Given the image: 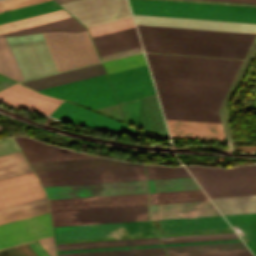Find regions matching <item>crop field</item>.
Returning <instances> with one entry per match:
<instances>
[{
    "mask_svg": "<svg viewBox=\"0 0 256 256\" xmlns=\"http://www.w3.org/2000/svg\"><path fill=\"white\" fill-rule=\"evenodd\" d=\"M137 24L256 33V24L133 15ZM137 25L141 39L249 47L255 34Z\"/></svg>",
    "mask_w": 256,
    "mask_h": 256,
    "instance_id": "obj_1",
    "label": "crop field"
},
{
    "mask_svg": "<svg viewBox=\"0 0 256 256\" xmlns=\"http://www.w3.org/2000/svg\"><path fill=\"white\" fill-rule=\"evenodd\" d=\"M163 110L218 115L231 82L152 76Z\"/></svg>",
    "mask_w": 256,
    "mask_h": 256,
    "instance_id": "obj_2",
    "label": "crop field"
},
{
    "mask_svg": "<svg viewBox=\"0 0 256 256\" xmlns=\"http://www.w3.org/2000/svg\"><path fill=\"white\" fill-rule=\"evenodd\" d=\"M151 74L232 81L241 60L146 53Z\"/></svg>",
    "mask_w": 256,
    "mask_h": 256,
    "instance_id": "obj_3",
    "label": "crop field"
},
{
    "mask_svg": "<svg viewBox=\"0 0 256 256\" xmlns=\"http://www.w3.org/2000/svg\"><path fill=\"white\" fill-rule=\"evenodd\" d=\"M133 14L256 23V8L160 0H129Z\"/></svg>",
    "mask_w": 256,
    "mask_h": 256,
    "instance_id": "obj_4",
    "label": "crop field"
},
{
    "mask_svg": "<svg viewBox=\"0 0 256 256\" xmlns=\"http://www.w3.org/2000/svg\"><path fill=\"white\" fill-rule=\"evenodd\" d=\"M186 168L209 197L256 194V165Z\"/></svg>",
    "mask_w": 256,
    "mask_h": 256,
    "instance_id": "obj_5",
    "label": "crop field"
},
{
    "mask_svg": "<svg viewBox=\"0 0 256 256\" xmlns=\"http://www.w3.org/2000/svg\"><path fill=\"white\" fill-rule=\"evenodd\" d=\"M39 91L93 109L118 103L105 74ZM96 110L125 121L118 104Z\"/></svg>",
    "mask_w": 256,
    "mask_h": 256,
    "instance_id": "obj_6",
    "label": "crop field"
},
{
    "mask_svg": "<svg viewBox=\"0 0 256 256\" xmlns=\"http://www.w3.org/2000/svg\"><path fill=\"white\" fill-rule=\"evenodd\" d=\"M87 32L42 33L59 72L100 62Z\"/></svg>",
    "mask_w": 256,
    "mask_h": 256,
    "instance_id": "obj_7",
    "label": "crop field"
},
{
    "mask_svg": "<svg viewBox=\"0 0 256 256\" xmlns=\"http://www.w3.org/2000/svg\"><path fill=\"white\" fill-rule=\"evenodd\" d=\"M6 38L25 80L58 72L41 33Z\"/></svg>",
    "mask_w": 256,
    "mask_h": 256,
    "instance_id": "obj_8",
    "label": "crop field"
},
{
    "mask_svg": "<svg viewBox=\"0 0 256 256\" xmlns=\"http://www.w3.org/2000/svg\"><path fill=\"white\" fill-rule=\"evenodd\" d=\"M147 205L50 211L53 226L148 220Z\"/></svg>",
    "mask_w": 256,
    "mask_h": 256,
    "instance_id": "obj_9",
    "label": "crop field"
},
{
    "mask_svg": "<svg viewBox=\"0 0 256 256\" xmlns=\"http://www.w3.org/2000/svg\"><path fill=\"white\" fill-rule=\"evenodd\" d=\"M61 6L86 27L132 16L127 0H78Z\"/></svg>",
    "mask_w": 256,
    "mask_h": 256,
    "instance_id": "obj_10",
    "label": "crop field"
},
{
    "mask_svg": "<svg viewBox=\"0 0 256 256\" xmlns=\"http://www.w3.org/2000/svg\"><path fill=\"white\" fill-rule=\"evenodd\" d=\"M48 199L148 193L147 180L44 187Z\"/></svg>",
    "mask_w": 256,
    "mask_h": 256,
    "instance_id": "obj_11",
    "label": "crop field"
},
{
    "mask_svg": "<svg viewBox=\"0 0 256 256\" xmlns=\"http://www.w3.org/2000/svg\"><path fill=\"white\" fill-rule=\"evenodd\" d=\"M129 236L156 234L149 221L125 222ZM123 223L53 227L56 240L118 236L115 227Z\"/></svg>",
    "mask_w": 256,
    "mask_h": 256,
    "instance_id": "obj_12",
    "label": "crop field"
},
{
    "mask_svg": "<svg viewBox=\"0 0 256 256\" xmlns=\"http://www.w3.org/2000/svg\"><path fill=\"white\" fill-rule=\"evenodd\" d=\"M120 104L129 123L154 133L168 135L155 94Z\"/></svg>",
    "mask_w": 256,
    "mask_h": 256,
    "instance_id": "obj_13",
    "label": "crop field"
},
{
    "mask_svg": "<svg viewBox=\"0 0 256 256\" xmlns=\"http://www.w3.org/2000/svg\"><path fill=\"white\" fill-rule=\"evenodd\" d=\"M52 234L49 213L12 222L0 226V248Z\"/></svg>",
    "mask_w": 256,
    "mask_h": 256,
    "instance_id": "obj_14",
    "label": "crop field"
},
{
    "mask_svg": "<svg viewBox=\"0 0 256 256\" xmlns=\"http://www.w3.org/2000/svg\"><path fill=\"white\" fill-rule=\"evenodd\" d=\"M108 76L120 102L155 93L146 65Z\"/></svg>",
    "mask_w": 256,
    "mask_h": 256,
    "instance_id": "obj_15",
    "label": "crop field"
},
{
    "mask_svg": "<svg viewBox=\"0 0 256 256\" xmlns=\"http://www.w3.org/2000/svg\"><path fill=\"white\" fill-rule=\"evenodd\" d=\"M50 116L60 120L90 126L98 129L134 134L133 128L88 109L63 102Z\"/></svg>",
    "mask_w": 256,
    "mask_h": 256,
    "instance_id": "obj_16",
    "label": "crop field"
},
{
    "mask_svg": "<svg viewBox=\"0 0 256 256\" xmlns=\"http://www.w3.org/2000/svg\"><path fill=\"white\" fill-rule=\"evenodd\" d=\"M45 196L34 172L0 181V208Z\"/></svg>",
    "mask_w": 256,
    "mask_h": 256,
    "instance_id": "obj_17",
    "label": "crop field"
},
{
    "mask_svg": "<svg viewBox=\"0 0 256 256\" xmlns=\"http://www.w3.org/2000/svg\"><path fill=\"white\" fill-rule=\"evenodd\" d=\"M40 182L146 175L143 165L36 172Z\"/></svg>",
    "mask_w": 256,
    "mask_h": 256,
    "instance_id": "obj_18",
    "label": "crop field"
},
{
    "mask_svg": "<svg viewBox=\"0 0 256 256\" xmlns=\"http://www.w3.org/2000/svg\"><path fill=\"white\" fill-rule=\"evenodd\" d=\"M146 51L244 58L248 48L141 40ZM145 51V52H146Z\"/></svg>",
    "mask_w": 256,
    "mask_h": 256,
    "instance_id": "obj_19",
    "label": "crop field"
},
{
    "mask_svg": "<svg viewBox=\"0 0 256 256\" xmlns=\"http://www.w3.org/2000/svg\"><path fill=\"white\" fill-rule=\"evenodd\" d=\"M0 102L47 115L62 103L16 84L0 92Z\"/></svg>",
    "mask_w": 256,
    "mask_h": 256,
    "instance_id": "obj_20",
    "label": "crop field"
},
{
    "mask_svg": "<svg viewBox=\"0 0 256 256\" xmlns=\"http://www.w3.org/2000/svg\"><path fill=\"white\" fill-rule=\"evenodd\" d=\"M150 220L220 215L211 201L149 205Z\"/></svg>",
    "mask_w": 256,
    "mask_h": 256,
    "instance_id": "obj_21",
    "label": "crop field"
},
{
    "mask_svg": "<svg viewBox=\"0 0 256 256\" xmlns=\"http://www.w3.org/2000/svg\"><path fill=\"white\" fill-rule=\"evenodd\" d=\"M28 162L96 158L97 156L82 154L50 144L38 142L27 137H14Z\"/></svg>",
    "mask_w": 256,
    "mask_h": 256,
    "instance_id": "obj_22",
    "label": "crop field"
},
{
    "mask_svg": "<svg viewBox=\"0 0 256 256\" xmlns=\"http://www.w3.org/2000/svg\"><path fill=\"white\" fill-rule=\"evenodd\" d=\"M148 194L48 200L50 210L147 204Z\"/></svg>",
    "mask_w": 256,
    "mask_h": 256,
    "instance_id": "obj_23",
    "label": "crop field"
},
{
    "mask_svg": "<svg viewBox=\"0 0 256 256\" xmlns=\"http://www.w3.org/2000/svg\"><path fill=\"white\" fill-rule=\"evenodd\" d=\"M171 137L223 140L220 124L166 119Z\"/></svg>",
    "mask_w": 256,
    "mask_h": 256,
    "instance_id": "obj_24",
    "label": "crop field"
},
{
    "mask_svg": "<svg viewBox=\"0 0 256 256\" xmlns=\"http://www.w3.org/2000/svg\"><path fill=\"white\" fill-rule=\"evenodd\" d=\"M159 221L166 233L231 229L223 216Z\"/></svg>",
    "mask_w": 256,
    "mask_h": 256,
    "instance_id": "obj_25",
    "label": "crop field"
},
{
    "mask_svg": "<svg viewBox=\"0 0 256 256\" xmlns=\"http://www.w3.org/2000/svg\"><path fill=\"white\" fill-rule=\"evenodd\" d=\"M92 39L100 55L141 45L135 27Z\"/></svg>",
    "mask_w": 256,
    "mask_h": 256,
    "instance_id": "obj_26",
    "label": "crop field"
},
{
    "mask_svg": "<svg viewBox=\"0 0 256 256\" xmlns=\"http://www.w3.org/2000/svg\"><path fill=\"white\" fill-rule=\"evenodd\" d=\"M105 73L103 70V67L101 64L65 72V73H60L28 82H24L22 84L29 86L35 90L99 75Z\"/></svg>",
    "mask_w": 256,
    "mask_h": 256,
    "instance_id": "obj_27",
    "label": "crop field"
},
{
    "mask_svg": "<svg viewBox=\"0 0 256 256\" xmlns=\"http://www.w3.org/2000/svg\"><path fill=\"white\" fill-rule=\"evenodd\" d=\"M0 256H56L53 235L1 248Z\"/></svg>",
    "mask_w": 256,
    "mask_h": 256,
    "instance_id": "obj_28",
    "label": "crop field"
},
{
    "mask_svg": "<svg viewBox=\"0 0 256 256\" xmlns=\"http://www.w3.org/2000/svg\"><path fill=\"white\" fill-rule=\"evenodd\" d=\"M30 165L32 166L34 171H42V170L105 167V166H120V165H136V163L109 160L105 158H97V159H82V160H67V161L36 162V163H30Z\"/></svg>",
    "mask_w": 256,
    "mask_h": 256,
    "instance_id": "obj_29",
    "label": "crop field"
},
{
    "mask_svg": "<svg viewBox=\"0 0 256 256\" xmlns=\"http://www.w3.org/2000/svg\"><path fill=\"white\" fill-rule=\"evenodd\" d=\"M48 212L46 197L5 207L0 209V225Z\"/></svg>",
    "mask_w": 256,
    "mask_h": 256,
    "instance_id": "obj_30",
    "label": "crop field"
},
{
    "mask_svg": "<svg viewBox=\"0 0 256 256\" xmlns=\"http://www.w3.org/2000/svg\"><path fill=\"white\" fill-rule=\"evenodd\" d=\"M168 256L249 251L243 242L164 247Z\"/></svg>",
    "mask_w": 256,
    "mask_h": 256,
    "instance_id": "obj_31",
    "label": "crop field"
},
{
    "mask_svg": "<svg viewBox=\"0 0 256 256\" xmlns=\"http://www.w3.org/2000/svg\"><path fill=\"white\" fill-rule=\"evenodd\" d=\"M224 217L256 256V213Z\"/></svg>",
    "mask_w": 256,
    "mask_h": 256,
    "instance_id": "obj_32",
    "label": "crop field"
},
{
    "mask_svg": "<svg viewBox=\"0 0 256 256\" xmlns=\"http://www.w3.org/2000/svg\"><path fill=\"white\" fill-rule=\"evenodd\" d=\"M222 215L256 212V195L211 198Z\"/></svg>",
    "mask_w": 256,
    "mask_h": 256,
    "instance_id": "obj_33",
    "label": "crop field"
},
{
    "mask_svg": "<svg viewBox=\"0 0 256 256\" xmlns=\"http://www.w3.org/2000/svg\"><path fill=\"white\" fill-rule=\"evenodd\" d=\"M61 8L53 1H47L7 12L0 13V24L60 10Z\"/></svg>",
    "mask_w": 256,
    "mask_h": 256,
    "instance_id": "obj_34",
    "label": "crop field"
},
{
    "mask_svg": "<svg viewBox=\"0 0 256 256\" xmlns=\"http://www.w3.org/2000/svg\"><path fill=\"white\" fill-rule=\"evenodd\" d=\"M32 172L21 151L0 156V180Z\"/></svg>",
    "mask_w": 256,
    "mask_h": 256,
    "instance_id": "obj_35",
    "label": "crop field"
},
{
    "mask_svg": "<svg viewBox=\"0 0 256 256\" xmlns=\"http://www.w3.org/2000/svg\"><path fill=\"white\" fill-rule=\"evenodd\" d=\"M150 193L200 189L192 177L149 180Z\"/></svg>",
    "mask_w": 256,
    "mask_h": 256,
    "instance_id": "obj_36",
    "label": "crop field"
},
{
    "mask_svg": "<svg viewBox=\"0 0 256 256\" xmlns=\"http://www.w3.org/2000/svg\"><path fill=\"white\" fill-rule=\"evenodd\" d=\"M86 30L84 26H82L78 21H76L73 17L3 34L4 35H17V34H27V33H35V32H50V31H70V32H79Z\"/></svg>",
    "mask_w": 256,
    "mask_h": 256,
    "instance_id": "obj_37",
    "label": "crop field"
},
{
    "mask_svg": "<svg viewBox=\"0 0 256 256\" xmlns=\"http://www.w3.org/2000/svg\"><path fill=\"white\" fill-rule=\"evenodd\" d=\"M67 17H71V16L67 14L65 11L60 10V11L0 25V34L67 18Z\"/></svg>",
    "mask_w": 256,
    "mask_h": 256,
    "instance_id": "obj_38",
    "label": "crop field"
},
{
    "mask_svg": "<svg viewBox=\"0 0 256 256\" xmlns=\"http://www.w3.org/2000/svg\"><path fill=\"white\" fill-rule=\"evenodd\" d=\"M209 200L202 190L150 194L149 204Z\"/></svg>",
    "mask_w": 256,
    "mask_h": 256,
    "instance_id": "obj_39",
    "label": "crop field"
},
{
    "mask_svg": "<svg viewBox=\"0 0 256 256\" xmlns=\"http://www.w3.org/2000/svg\"><path fill=\"white\" fill-rule=\"evenodd\" d=\"M0 73L17 81L23 80L5 37H0Z\"/></svg>",
    "mask_w": 256,
    "mask_h": 256,
    "instance_id": "obj_40",
    "label": "crop field"
},
{
    "mask_svg": "<svg viewBox=\"0 0 256 256\" xmlns=\"http://www.w3.org/2000/svg\"><path fill=\"white\" fill-rule=\"evenodd\" d=\"M58 256H166L163 248L58 254Z\"/></svg>",
    "mask_w": 256,
    "mask_h": 256,
    "instance_id": "obj_41",
    "label": "crop field"
},
{
    "mask_svg": "<svg viewBox=\"0 0 256 256\" xmlns=\"http://www.w3.org/2000/svg\"><path fill=\"white\" fill-rule=\"evenodd\" d=\"M107 73H113L141 65H145L144 55L142 53L124 57L121 59L103 63Z\"/></svg>",
    "mask_w": 256,
    "mask_h": 256,
    "instance_id": "obj_42",
    "label": "crop field"
},
{
    "mask_svg": "<svg viewBox=\"0 0 256 256\" xmlns=\"http://www.w3.org/2000/svg\"><path fill=\"white\" fill-rule=\"evenodd\" d=\"M133 26H135L134 21H133V18L130 17V18H126V19H122V20H118L110 23L89 27L88 30L91 36L93 37V36L129 28Z\"/></svg>",
    "mask_w": 256,
    "mask_h": 256,
    "instance_id": "obj_43",
    "label": "crop field"
},
{
    "mask_svg": "<svg viewBox=\"0 0 256 256\" xmlns=\"http://www.w3.org/2000/svg\"><path fill=\"white\" fill-rule=\"evenodd\" d=\"M166 118L220 123L219 116L163 111Z\"/></svg>",
    "mask_w": 256,
    "mask_h": 256,
    "instance_id": "obj_44",
    "label": "crop field"
},
{
    "mask_svg": "<svg viewBox=\"0 0 256 256\" xmlns=\"http://www.w3.org/2000/svg\"><path fill=\"white\" fill-rule=\"evenodd\" d=\"M140 179H147V178H146V176H139V177L109 178V179H95V180L50 182V183H41V184H42V186H50V185H65V184H80V183H95V182L140 180Z\"/></svg>",
    "mask_w": 256,
    "mask_h": 256,
    "instance_id": "obj_45",
    "label": "crop field"
},
{
    "mask_svg": "<svg viewBox=\"0 0 256 256\" xmlns=\"http://www.w3.org/2000/svg\"><path fill=\"white\" fill-rule=\"evenodd\" d=\"M159 240L158 237L56 244L57 247Z\"/></svg>",
    "mask_w": 256,
    "mask_h": 256,
    "instance_id": "obj_46",
    "label": "crop field"
},
{
    "mask_svg": "<svg viewBox=\"0 0 256 256\" xmlns=\"http://www.w3.org/2000/svg\"><path fill=\"white\" fill-rule=\"evenodd\" d=\"M145 167L148 175L187 173V171L184 169L183 166L165 167V166L145 165Z\"/></svg>",
    "mask_w": 256,
    "mask_h": 256,
    "instance_id": "obj_47",
    "label": "crop field"
},
{
    "mask_svg": "<svg viewBox=\"0 0 256 256\" xmlns=\"http://www.w3.org/2000/svg\"><path fill=\"white\" fill-rule=\"evenodd\" d=\"M42 1L46 0H2L0 1V12Z\"/></svg>",
    "mask_w": 256,
    "mask_h": 256,
    "instance_id": "obj_48",
    "label": "crop field"
},
{
    "mask_svg": "<svg viewBox=\"0 0 256 256\" xmlns=\"http://www.w3.org/2000/svg\"><path fill=\"white\" fill-rule=\"evenodd\" d=\"M230 235H236V233L235 232H227V233H212V234H197V235L167 236V237H160V239L168 240V239H184V238L230 236Z\"/></svg>",
    "mask_w": 256,
    "mask_h": 256,
    "instance_id": "obj_49",
    "label": "crop field"
},
{
    "mask_svg": "<svg viewBox=\"0 0 256 256\" xmlns=\"http://www.w3.org/2000/svg\"><path fill=\"white\" fill-rule=\"evenodd\" d=\"M154 243H160V241H152V242H137V243H123V244H108V245H93V246H79V247H64V248H57V249H58V250H65V249H80V248L110 247V246H124V245L154 244Z\"/></svg>",
    "mask_w": 256,
    "mask_h": 256,
    "instance_id": "obj_50",
    "label": "crop field"
},
{
    "mask_svg": "<svg viewBox=\"0 0 256 256\" xmlns=\"http://www.w3.org/2000/svg\"><path fill=\"white\" fill-rule=\"evenodd\" d=\"M233 238H239V237L238 236H230V237H214V238H199V239H184V240H168V241H162V243L201 241V240H217V239H233Z\"/></svg>",
    "mask_w": 256,
    "mask_h": 256,
    "instance_id": "obj_51",
    "label": "crop field"
},
{
    "mask_svg": "<svg viewBox=\"0 0 256 256\" xmlns=\"http://www.w3.org/2000/svg\"><path fill=\"white\" fill-rule=\"evenodd\" d=\"M235 241H241V239L202 241V242H186V243H170V244H163V245L164 246H171V245H187V244H203V243H219V242H235Z\"/></svg>",
    "mask_w": 256,
    "mask_h": 256,
    "instance_id": "obj_52",
    "label": "crop field"
},
{
    "mask_svg": "<svg viewBox=\"0 0 256 256\" xmlns=\"http://www.w3.org/2000/svg\"><path fill=\"white\" fill-rule=\"evenodd\" d=\"M119 249H127V248L126 247H118V248H101V249L66 250V251H58V253L84 252V251H101V250H119Z\"/></svg>",
    "mask_w": 256,
    "mask_h": 256,
    "instance_id": "obj_53",
    "label": "crop field"
},
{
    "mask_svg": "<svg viewBox=\"0 0 256 256\" xmlns=\"http://www.w3.org/2000/svg\"><path fill=\"white\" fill-rule=\"evenodd\" d=\"M193 256H253L251 252L242 253H226V254H210V255H193Z\"/></svg>",
    "mask_w": 256,
    "mask_h": 256,
    "instance_id": "obj_54",
    "label": "crop field"
},
{
    "mask_svg": "<svg viewBox=\"0 0 256 256\" xmlns=\"http://www.w3.org/2000/svg\"><path fill=\"white\" fill-rule=\"evenodd\" d=\"M190 176L189 174H178V175H158V176H148L149 179H156V178H170V177H184Z\"/></svg>",
    "mask_w": 256,
    "mask_h": 256,
    "instance_id": "obj_55",
    "label": "crop field"
},
{
    "mask_svg": "<svg viewBox=\"0 0 256 256\" xmlns=\"http://www.w3.org/2000/svg\"><path fill=\"white\" fill-rule=\"evenodd\" d=\"M142 48L141 46L100 56L101 58Z\"/></svg>",
    "mask_w": 256,
    "mask_h": 256,
    "instance_id": "obj_56",
    "label": "crop field"
},
{
    "mask_svg": "<svg viewBox=\"0 0 256 256\" xmlns=\"http://www.w3.org/2000/svg\"><path fill=\"white\" fill-rule=\"evenodd\" d=\"M140 51H142V49L136 50V51H132V52H128V53H124V54H119V55L111 56V57H107V58H103L101 60L105 61V60L121 57V56H124V55L132 54V53H136V52H140Z\"/></svg>",
    "mask_w": 256,
    "mask_h": 256,
    "instance_id": "obj_57",
    "label": "crop field"
},
{
    "mask_svg": "<svg viewBox=\"0 0 256 256\" xmlns=\"http://www.w3.org/2000/svg\"><path fill=\"white\" fill-rule=\"evenodd\" d=\"M13 83H14V82H11V81H9V80H6V81L0 83V90L3 89V88H5V87H7V86H9V85H11V84H13Z\"/></svg>",
    "mask_w": 256,
    "mask_h": 256,
    "instance_id": "obj_58",
    "label": "crop field"
},
{
    "mask_svg": "<svg viewBox=\"0 0 256 256\" xmlns=\"http://www.w3.org/2000/svg\"><path fill=\"white\" fill-rule=\"evenodd\" d=\"M221 1H235V2H250V3H256V0H221Z\"/></svg>",
    "mask_w": 256,
    "mask_h": 256,
    "instance_id": "obj_59",
    "label": "crop field"
},
{
    "mask_svg": "<svg viewBox=\"0 0 256 256\" xmlns=\"http://www.w3.org/2000/svg\"><path fill=\"white\" fill-rule=\"evenodd\" d=\"M139 248H151V247H162L161 244H155V245H143V246H138Z\"/></svg>",
    "mask_w": 256,
    "mask_h": 256,
    "instance_id": "obj_60",
    "label": "crop field"
},
{
    "mask_svg": "<svg viewBox=\"0 0 256 256\" xmlns=\"http://www.w3.org/2000/svg\"><path fill=\"white\" fill-rule=\"evenodd\" d=\"M56 2H58L59 4L61 3H65V2H69V1H73V0H55Z\"/></svg>",
    "mask_w": 256,
    "mask_h": 256,
    "instance_id": "obj_61",
    "label": "crop field"
},
{
    "mask_svg": "<svg viewBox=\"0 0 256 256\" xmlns=\"http://www.w3.org/2000/svg\"><path fill=\"white\" fill-rule=\"evenodd\" d=\"M0 129H2V128L0 127Z\"/></svg>",
    "mask_w": 256,
    "mask_h": 256,
    "instance_id": "obj_62",
    "label": "crop field"
}]
</instances>
